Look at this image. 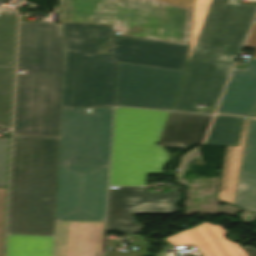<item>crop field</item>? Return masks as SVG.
I'll return each instance as SVG.
<instances>
[{"mask_svg": "<svg viewBox=\"0 0 256 256\" xmlns=\"http://www.w3.org/2000/svg\"><path fill=\"white\" fill-rule=\"evenodd\" d=\"M64 61L62 24L20 22L14 134L59 138Z\"/></svg>", "mask_w": 256, "mask_h": 256, "instance_id": "1", "label": "crop field"}, {"mask_svg": "<svg viewBox=\"0 0 256 256\" xmlns=\"http://www.w3.org/2000/svg\"><path fill=\"white\" fill-rule=\"evenodd\" d=\"M58 145L14 135L8 233L53 236Z\"/></svg>", "mask_w": 256, "mask_h": 256, "instance_id": "2", "label": "crop field"}, {"mask_svg": "<svg viewBox=\"0 0 256 256\" xmlns=\"http://www.w3.org/2000/svg\"><path fill=\"white\" fill-rule=\"evenodd\" d=\"M63 22L113 25L119 36L188 45L193 10L152 0H60Z\"/></svg>", "mask_w": 256, "mask_h": 256, "instance_id": "3", "label": "crop field"}, {"mask_svg": "<svg viewBox=\"0 0 256 256\" xmlns=\"http://www.w3.org/2000/svg\"><path fill=\"white\" fill-rule=\"evenodd\" d=\"M169 112L116 108L110 185L146 186L168 160L157 145Z\"/></svg>", "mask_w": 256, "mask_h": 256, "instance_id": "4", "label": "crop field"}, {"mask_svg": "<svg viewBox=\"0 0 256 256\" xmlns=\"http://www.w3.org/2000/svg\"><path fill=\"white\" fill-rule=\"evenodd\" d=\"M195 0L188 58L233 63L241 52L256 6Z\"/></svg>", "mask_w": 256, "mask_h": 256, "instance_id": "5", "label": "crop field"}, {"mask_svg": "<svg viewBox=\"0 0 256 256\" xmlns=\"http://www.w3.org/2000/svg\"><path fill=\"white\" fill-rule=\"evenodd\" d=\"M112 108H62L59 164H108Z\"/></svg>", "mask_w": 256, "mask_h": 256, "instance_id": "6", "label": "crop field"}, {"mask_svg": "<svg viewBox=\"0 0 256 256\" xmlns=\"http://www.w3.org/2000/svg\"><path fill=\"white\" fill-rule=\"evenodd\" d=\"M108 165H59L55 220L104 221Z\"/></svg>", "mask_w": 256, "mask_h": 256, "instance_id": "7", "label": "crop field"}, {"mask_svg": "<svg viewBox=\"0 0 256 256\" xmlns=\"http://www.w3.org/2000/svg\"><path fill=\"white\" fill-rule=\"evenodd\" d=\"M117 62L66 51L62 107L114 106Z\"/></svg>", "mask_w": 256, "mask_h": 256, "instance_id": "8", "label": "crop field"}, {"mask_svg": "<svg viewBox=\"0 0 256 256\" xmlns=\"http://www.w3.org/2000/svg\"><path fill=\"white\" fill-rule=\"evenodd\" d=\"M183 75L118 62L116 105L170 110Z\"/></svg>", "mask_w": 256, "mask_h": 256, "instance_id": "9", "label": "crop field"}, {"mask_svg": "<svg viewBox=\"0 0 256 256\" xmlns=\"http://www.w3.org/2000/svg\"><path fill=\"white\" fill-rule=\"evenodd\" d=\"M146 187H119L110 189L106 231L140 233L144 226L135 222L134 213H174L179 191L149 193Z\"/></svg>", "mask_w": 256, "mask_h": 256, "instance_id": "10", "label": "crop field"}, {"mask_svg": "<svg viewBox=\"0 0 256 256\" xmlns=\"http://www.w3.org/2000/svg\"><path fill=\"white\" fill-rule=\"evenodd\" d=\"M231 65L189 60L172 110L197 112L195 105L217 106Z\"/></svg>", "mask_w": 256, "mask_h": 256, "instance_id": "11", "label": "crop field"}, {"mask_svg": "<svg viewBox=\"0 0 256 256\" xmlns=\"http://www.w3.org/2000/svg\"><path fill=\"white\" fill-rule=\"evenodd\" d=\"M117 61L184 71L188 46L114 36Z\"/></svg>", "mask_w": 256, "mask_h": 256, "instance_id": "12", "label": "crop field"}, {"mask_svg": "<svg viewBox=\"0 0 256 256\" xmlns=\"http://www.w3.org/2000/svg\"><path fill=\"white\" fill-rule=\"evenodd\" d=\"M18 12L0 8V125L11 128Z\"/></svg>", "mask_w": 256, "mask_h": 256, "instance_id": "13", "label": "crop field"}, {"mask_svg": "<svg viewBox=\"0 0 256 256\" xmlns=\"http://www.w3.org/2000/svg\"><path fill=\"white\" fill-rule=\"evenodd\" d=\"M104 222L55 221L53 256H103Z\"/></svg>", "mask_w": 256, "mask_h": 256, "instance_id": "14", "label": "crop field"}, {"mask_svg": "<svg viewBox=\"0 0 256 256\" xmlns=\"http://www.w3.org/2000/svg\"><path fill=\"white\" fill-rule=\"evenodd\" d=\"M226 231L204 222L165 239L173 246L192 244L203 256H247L237 244L223 237Z\"/></svg>", "mask_w": 256, "mask_h": 256, "instance_id": "15", "label": "crop field"}, {"mask_svg": "<svg viewBox=\"0 0 256 256\" xmlns=\"http://www.w3.org/2000/svg\"><path fill=\"white\" fill-rule=\"evenodd\" d=\"M256 108V59L235 68L217 112L252 116Z\"/></svg>", "mask_w": 256, "mask_h": 256, "instance_id": "16", "label": "crop field"}, {"mask_svg": "<svg viewBox=\"0 0 256 256\" xmlns=\"http://www.w3.org/2000/svg\"><path fill=\"white\" fill-rule=\"evenodd\" d=\"M66 48L116 61L112 27L63 23Z\"/></svg>", "mask_w": 256, "mask_h": 256, "instance_id": "17", "label": "crop field"}, {"mask_svg": "<svg viewBox=\"0 0 256 256\" xmlns=\"http://www.w3.org/2000/svg\"><path fill=\"white\" fill-rule=\"evenodd\" d=\"M213 116L171 112L159 144L187 148L201 144Z\"/></svg>", "mask_w": 256, "mask_h": 256, "instance_id": "18", "label": "crop field"}, {"mask_svg": "<svg viewBox=\"0 0 256 256\" xmlns=\"http://www.w3.org/2000/svg\"><path fill=\"white\" fill-rule=\"evenodd\" d=\"M234 205L256 212V119H251Z\"/></svg>", "mask_w": 256, "mask_h": 256, "instance_id": "19", "label": "crop field"}, {"mask_svg": "<svg viewBox=\"0 0 256 256\" xmlns=\"http://www.w3.org/2000/svg\"><path fill=\"white\" fill-rule=\"evenodd\" d=\"M248 120H243L242 131L238 146H227L223 171L221 176L218 200L232 204L239 175V168L244 149V142L248 128Z\"/></svg>", "mask_w": 256, "mask_h": 256, "instance_id": "20", "label": "crop field"}, {"mask_svg": "<svg viewBox=\"0 0 256 256\" xmlns=\"http://www.w3.org/2000/svg\"><path fill=\"white\" fill-rule=\"evenodd\" d=\"M53 237L8 234L7 256H52Z\"/></svg>", "mask_w": 256, "mask_h": 256, "instance_id": "21", "label": "crop field"}, {"mask_svg": "<svg viewBox=\"0 0 256 256\" xmlns=\"http://www.w3.org/2000/svg\"><path fill=\"white\" fill-rule=\"evenodd\" d=\"M241 117L217 115L205 144H235Z\"/></svg>", "mask_w": 256, "mask_h": 256, "instance_id": "22", "label": "crop field"}, {"mask_svg": "<svg viewBox=\"0 0 256 256\" xmlns=\"http://www.w3.org/2000/svg\"><path fill=\"white\" fill-rule=\"evenodd\" d=\"M9 138H0V187L7 185Z\"/></svg>", "mask_w": 256, "mask_h": 256, "instance_id": "23", "label": "crop field"}, {"mask_svg": "<svg viewBox=\"0 0 256 256\" xmlns=\"http://www.w3.org/2000/svg\"><path fill=\"white\" fill-rule=\"evenodd\" d=\"M5 194L6 188H0V256L3 249Z\"/></svg>", "mask_w": 256, "mask_h": 256, "instance_id": "24", "label": "crop field"}, {"mask_svg": "<svg viewBox=\"0 0 256 256\" xmlns=\"http://www.w3.org/2000/svg\"><path fill=\"white\" fill-rule=\"evenodd\" d=\"M164 3H169L177 6L193 9L194 0H156Z\"/></svg>", "mask_w": 256, "mask_h": 256, "instance_id": "25", "label": "crop field"}, {"mask_svg": "<svg viewBox=\"0 0 256 256\" xmlns=\"http://www.w3.org/2000/svg\"><path fill=\"white\" fill-rule=\"evenodd\" d=\"M246 47L256 48V23L253 27V30H252L251 34H250V37L248 39ZM252 57H256V50H255Z\"/></svg>", "mask_w": 256, "mask_h": 256, "instance_id": "26", "label": "crop field"}, {"mask_svg": "<svg viewBox=\"0 0 256 256\" xmlns=\"http://www.w3.org/2000/svg\"><path fill=\"white\" fill-rule=\"evenodd\" d=\"M242 248L246 251L248 256H256V250L255 249L250 248L248 246H245V247H242Z\"/></svg>", "mask_w": 256, "mask_h": 256, "instance_id": "27", "label": "crop field"}, {"mask_svg": "<svg viewBox=\"0 0 256 256\" xmlns=\"http://www.w3.org/2000/svg\"><path fill=\"white\" fill-rule=\"evenodd\" d=\"M67 50V49H66ZM71 51V50H70ZM86 55H88V54H86ZM89 56H93V55H89Z\"/></svg>", "mask_w": 256, "mask_h": 256, "instance_id": "28", "label": "crop field"}, {"mask_svg": "<svg viewBox=\"0 0 256 256\" xmlns=\"http://www.w3.org/2000/svg\"><path fill=\"white\" fill-rule=\"evenodd\" d=\"M254 117H256V113H255Z\"/></svg>", "mask_w": 256, "mask_h": 256, "instance_id": "29", "label": "crop field"}]
</instances>
